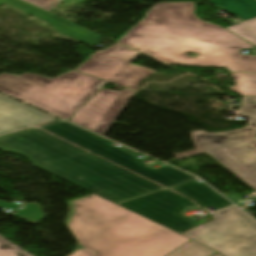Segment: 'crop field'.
Returning a JSON list of instances; mask_svg holds the SVG:
<instances>
[{
  "label": "crop field",
  "mask_w": 256,
  "mask_h": 256,
  "mask_svg": "<svg viewBox=\"0 0 256 256\" xmlns=\"http://www.w3.org/2000/svg\"><path fill=\"white\" fill-rule=\"evenodd\" d=\"M195 3H157L119 43L166 64L228 68L256 72V56L240 55L253 48L229 30L199 20ZM200 54L190 58L184 53Z\"/></svg>",
  "instance_id": "8a807250"
},
{
  "label": "crop field",
  "mask_w": 256,
  "mask_h": 256,
  "mask_svg": "<svg viewBox=\"0 0 256 256\" xmlns=\"http://www.w3.org/2000/svg\"><path fill=\"white\" fill-rule=\"evenodd\" d=\"M0 150L114 204L166 189L36 127L1 136Z\"/></svg>",
  "instance_id": "ac0d7876"
},
{
  "label": "crop field",
  "mask_w": 256,
  "mask_h": 256,
  "mask_svg": "<svg viewBox=\"0 0 256 256\" xmlns=\"http://www.w3.org/2000/svg\"><path fill=\"white\" fill-rule=\"evenodd\" d=\"M68 204L66 226L96 256H165L190 240L95 195Z\"/></svg>",
  "instance_id": "34b2d1b8"
},
{
  "label": "crop field",
  "mask_w": 256,
  "mask_h": 256,
  "mask_svg": "<svg viewBox=\"0 0 256 256\" xmlns=\"http://www.w3.org/2000/svg\"><path fill=\"white\" fill-rule=\"evenodd\" d=\"M106 83L76 71L52 79L30 73H4L0 75V92L68 120Z\"/></svg>",
  "instance_id": "412701ff"
},
{
  "label": "crop field",
  "mask_w": 256,
  "mask_h": 256,
  "mask_svg": "<svg viewBox=\"0 0 256 256\" xmlns=\"http://www.w3.org/2000/svg\"><path fill=\"white\" fill-rule=\"evenodd\" d=\"M39 127L167 188L197 180V178L170 166L153 171L142 164L150 158L139 159L137 157L141 154L124 146L117 148L111 145L113 142L66 121L60 120Z\"/></svg>",
  "instance_id": "f4fd0767"
},
{
  "label": "crop field",
  "mask_w": 256,
  "mask_h": 256,
  "mask_svg": "<svg viewBox=\"0 0 256 256\" xmlns=\"http://www.w3.org/2000/svg\"><path fill=\"white\" fill-rule=\"evenodd\" d=\"M212 220L186 234L224 256H256V221L237 207L212 214Z\"/></svg>",
  "instance_id": "dd49c442"
},
{
  "label": "crop field",
  "mask_w": 256,
  "mask_h": 256,
  "mask_svg": "<svg viewBox=\"0 0 256 256\" xmlns=\"http://www.w3.org/2000/svg\"><path fill=\"white\" fill-rule=\"evenodd\" d=\"M138 56L140 54L116 44L98 51L76 70L136 90L142 79L156 72L130 64Z\"/></svg>",
  "instance_id": "e52e79f7"
},
{
  "label": "crop field",
  "mask_w": 256,
  "mask_h": 256,
  "mask_svg": "<svg viewBox=\"0 0 256 256\" xmlns=\"http://www.w3.org/2000/svg\"><path fill=\"white\" fill-rule=\"evenodd\" d=\"M117 205L178 233L205 222L202 220L196 223L189 217L181 216L186 206H190L192 209L197 208V206L168 189Z\"/></svg>",
  "instance_id": "d8731c3e"
},
{
  "label": "crop field",
  "mask_w": 256,
  "mask_h": 256,
  "mask_svg": "<svg viewBox=\"0 0 256 256\" xmlns=\"http://www.w3.org/2000/svg\"><path fill=\"white\" fill-rule=\"evenodd\" d=\"M132 94L133 91L126 89L121 92L103 89L69 121L102 135Z\"/></svg>",
  "instance_id": "5a996713"
},
{
  "label": "crop field",
  "mask_w": 256,
  "mask_h": 256,
  "mask_svg": "<svg viewBox=\"0 0 256 256\" xmlns=\"http://www.w3.org/2000/svg\"><path fill=\"white\" fill-rule=\"evenodd\" d=\"M57 120L0 95V136Z\"/></svg>",
  "instance_id": "3316defc"
},
{
  "label": "crop field",
  "mask_w": 256,
  "mask_h": 256,
  "mask_svg": "<svg viewBox=\"0 0 256 256\" xmlns=\"http://www.w3.org/2000/svg\"><path fill=\"white\" fill-rule=\"evenodd\" d=\"M256 191V152L245 144L207 153Z\"/></svg>",
  "instance_id": "28ad6ade"
},
{
  "label": "crop field",
  "mask_w": 256,
  "mask_h": 256,
  "mask_svg": "<svg viewBox=\"0 0 256 256\" xmlns=\"http://www.w3.org/2000/svg\"><path fill=\"white\" fill-rule=\"evenodd\" d=\"M255 128H242L231 132L211 134L203 131L190 133L195 150L175 155L177 159L204 152L254 141Z\"/></svg>",
  "instance_id": "d1516ede"
},
{
  "label": "crop field",
  "mask_w": 256,
  "mask_h": 256,
  "mask_svg": "<svg viewBox=\"0 0 256 256\" xmlns=\"http://www.w3.org/2000/svg\"><path fill=\"white\" fill-rule=\"evenodd\" d=\"M170 189L191 198L203 209L212 206L218 210L232 205L204 183L193 181Z\"/></svg>",
  "instance_id": "22f410ed"
},
{
  "label": "crop field",
  "mask_w": 256,
  "mask_h": 256,
  "mask_svg": "<svg viewBox=\"0 0 256 256\" xmlns=\"http://www.w3.org/2000/svg\"><path fill=\"white\" fill-rule=\"evenodd\" d=\"M236 85L227 89L241 96H256V75L230 73Z\"/></svg>",
  "instance_id": "cbeb9de0"
},
{
  "label": "crop field",
  "mask_w": 256,
  "mask_h": 256,
  "mask_svg": "<svg viewBox=\"0 0 256 256\" xmlns=\"http://www.w3.org/2000/svg\"><path fill=\"white\" fill-rule=\"evenodd\" d=\"M213 253L214 250L190 240L166 256H210Z\"/></svg>",
  "instance_id": "5142ce71"
},
{
  "label": "crop field",
  "mask_w": 256,
  "mask_h": 256,
  "mask_svg": "<svg viewBox=\"0 0 256 256\" xmlns=\"http://www.w3.org/2000/svg\"><path fill=\"white\" fill-rule=\"evenodd\" d=\"M227 29L256 47V20L228 27Z\"/></svg>",
  "instance_id": "d9b57169"
},
{
  "label": "crop field",
  "mask_w": 256,
  "mask_h": 256,
  "mask_svg": "<svg viewBox=\"0 0 256 256\" xmlns=\"http://www.w3.org/2000/svg\"><path fill=\"white\" fill-rule=\"evenodd\" d=\"M18 214V218L36 226L45 216L36 203H31L24 207Z\"/></svg>",
  "instance_id": "733c2abd"
},
{
  "label": "crop field",
  "mask_w": 256,
  "mask_h": 256,
  "mask_svg": "<svg viewBox=\"0 0 256 256\" xmlns=\"http://www.w3.org/2000/svg\"><path fill=\"white\" fill-rule=\"evenodd\" d=\"M240 114L250 117V126H256V97H243Z\"/></svg>",
  "instance_id": "4a817a6b"
},
{
  "label": "crop field",
  "mask_w": 256,
  "mask_h": 256,
  "mask_svg": "<svg viewBox=\"0 0 256 256\" xmlns=\"http://www.w3.org/2000/svg\"><path fill=\"white\" fill-rule=\"evenodd\" d=\"M0 256H32L0 237Z\"/></svg>",
  "instance_id": "bc2a9ffb"
},
{
  "label": "crop field",
  "mask_w": 256,
  "mask_h": 256,
  "mask_svg": "<svg viewBox=\"0 0 256 256\" xmlns=\"http://www.w3.org/2000/svg\"><path fill=\"white\" fill-rule=\"evenodd\" d=\"M30 4H33L46 11H50L55 5L60 3L62 0H23Z\"/></svg>",
  "instance_id": "214f88e0"
},
{
  "label": "crop field",
  "mask_w": 256,
  "mask_h": 256,
  "mask_svg": "<svg viewBox=\"0 0 256 256\" xmlns=\"http://www.w3.org/2000/svg\"><path fill=\"white\" fill-rule=\"evenodd\" d=\"M225 196H227L229 199L235 202L239 207H243L245 204V200L236 193L227 194Z\"/></svg>",
  "instance_id": "92a150f3"
},
{
  "label": "crop field",
  "mask_w": 256,
  "mask_h": 256,
  "mask_svg": "<svg viewBox=\"0 0 256 256\" xmlns=\"http://www.w3.org/2000/svg\"><path fill=\"white\" fill-rule=\"evenodd\" d=\"M95 253L86 250H77L69 256H92Z\"/></svg>",
  "instance_id": "dafd665d"
},
{
  "label": "crop field",
  "mask_w": 256,
  "mask_h": 256,
  "mask_svg": "<svg viewBox=\"0 0 256 256\" xmlns=\"http://www.w3.org/2000/svg\"><path fill=\"white\" fill-rule=\"evenodd\" d=\"M17 206H19V205L15 204V203L8 204L6 202L0 201V207L6 208V209H8V208L13 209Z\"/></svg>",
  "instance_id": "00972430"
},
{
  "label": "crop field",
  "mask_w": 256,
  "mask_h": 256,
  "mask_svg": "<svg viewBox=\"0 0 256 256\" xmlns=\"http://www.w3.org/2000/svg\"><path fill=\"white\" fill-rule=\"evenodd\" d=\"M249 147H251L253 150L256 151V141L254 142H250V143H246Z\"/></svg>",
  "instance_id": "a9b5d70f"
},
{
  "label": "crop field",
  "mask_w": 256,
  "mask_h": 256,
  "mask_svg": "<svg viewBox=\"0 0 256 256\" xmlns=\"http://www.w3.org/2000/svg\"><path fill=\"white\" fill-rule=\"evenodd\" d=\"M214 256H222V255H220L219 253H217V254H215Z\"/></svg>",
  "instance_id": "4177f3b9"
},
{
  "label": "crop field",
  "mask_w": 256,
  "mask_h": 256,
  "mask_svg": "<svg viewBox=\"0 0 256 256\" xmlns=\"http://www.w3.org/2000/svg\"><path fill=\"white\" fill-rule=\"evenodd\" d=\"M250 198H252V199L256 200V197H250Z\"/></svg>",
  "instance_id": "730fd06b"
},
{
  "label": "crop field",
  "mask_w": 256,
  "mask_h": 256,
  "mask_svg": "<svg viewBox=\"0 0 256 256\" xmlns=\"http://www.w3.org/2000/svg\"><path fill=\"white\" fill-rule=\"evenodd\" d=\"M256 195V194H255Z\"/></svg>",
  "instance_id": "eef30255"
}]
</instances>
